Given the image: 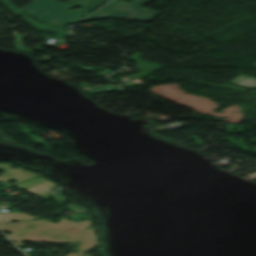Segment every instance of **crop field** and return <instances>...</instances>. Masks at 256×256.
Returning a JSON list of instances; mask_svg holds the SVG:
<instances>
[{
  "label": "crop field",
  "instance_id": "3",
  "mask_svg": "<svg viewBox=\"0 0 256 256\" xmlns=\"http://www.w3.org/2000/svg\"><path fill=\"white\" fill-rule=\"evenodd\" d=\"M151 0H133L129 3L114 0L97 10L85 19L90 18H115L126 20L151 21L160 12L141 7Z\"/></svg>",
  "mask_w": 256,
  "mask_h": 256
},
{
  "label": "crop field",
  "instance_id": "4",
  "mask_svg": "<svg viewBox=\"0 0 256 256\" xmlns=\"http://www.w3.org/2000/svg\"><path fill=\"white\" fill-rule=\"evenodd\" d=\"M0 169L4 170V174L0 176V181L1 180H4V181L1 182L0 184H5L6 186L14 185L22 190H25V189H28L32 186H35L39 183L46 181V179L38 177V178H35L32 180L17 184L19 182L30 179L37 175H35L31 172H28L26 170H23L21 168L11 169V168H9V164H0ZM11 180H17V182H15L11 185L6 183V181H11ZM15 184H17V185H15Z\"/></svg>",
  "mask_w": 256,
  "mask_h": 256
},
{
  "label": "crop field",
  "instance_id": "9",
  "mask_svg": "<svg viewBox=\"0 0 256 256\" xmlns=\"http://www.w3.org/2000/svg\"><path fill=\"white\" fill-rule=\"evenodd\" d=\"M55 184L47 181V182H44L40 185H37L35 187H32L30 189H28L29 191H32V192H35V193H38V194H41V193H44L46 191H48L50 189V187L54 186Z\"/></svg>",
  "mask_w": 256,
  "mask_h": 256
},
{
  "label": "crop field",
  "instance_id": "1",
  "mask_svg": "<svg viewBox=\"0 0 256 256\" xmlns=\"http://www.w3.org/2000/svg\"><path fill=\"white\" fill-rule=\"evenodd\" d=\"M59 224L51 223L45 219L28 220L21 222L0 223V230L12 231L7 235L15 240L17 245H22L20 240L44 241L48 243H73L79 242V250L96 246L95 227L90 220L71 222L63 218ZM90 226L89 229L84 227ZM68 237V239H64Z\"/></svg>",
  "mask_w": 256,
  "mask_h": 256
},
{
  "label": "crop field",
  "instance_id": "6",
  "mask_svg": "<svg viewBox=\"0 0 256 256\" xmlns=\"http://www.w3.org/2000/svg\"><path fill=\"white\" fill-rule=\"evenodd\" d=\"M141 55H142L141 53H133L130 58L131 61H135V65L137 69L154 72L165 66V65H159V64L140 61L139 58L141 57Z\"/></svg>",
  "mask_w": 256,
  "mask_h": 256
},
{
  "label": "crop field",
  "instance_id": "2",
  "mask_svg": "<svg viewBox=\"0 0 256 256\" xmlns=\"http://www.w3.org/2000/svg\"><path fill=\"white\" fill-rule=\"evenodd\" d=\"M107 1L109 0H68L64 4L58 0H35L20 10L40 22L63 27L75 23ZM76 6L81 8L77 11L69 10Z\"/></svg>",
  "mask_w": 256,
  "mask_h": 256
},
{
  "label": "crop field",
  "instance_id": "10",
  "mask_svg": "<svg viewBox=\"0 0 256 256\" xmlns=\"http://www.w3.org/2000/svg\"><path fill=\"white\" fill-rule=\"evenodd\" d=\"M20 37H21V36L17 35L16 32H14V40H15V43H14V45H13V48L25 50L26 52L32 51V50H30V49L22 48V45L19 44Z\"/></svg>",
  "mask_w": 256,
  "mask_h": 256
},
{
  "label": "crop field",
  "instance_id": "8",
  "mask_svg": "<svg viewBox=\"0 0 256 256\" xmlns=\"http://www.w3.org/2000/svg\"><path fill=\"white\" fill-rule=\"evenodd\" d=\"M29 218H33V217L27 216L25 214H18V213H2V214H0V222L10 221V220H19V219H29Z\"/></svg>",
  "mask_w": 256,
  "mask_h": 256
},
{
  "label": "crop field",
  "instance_id": "5",
  "mask_svg": "<svg viewBox=\"0 0 256 256\" xmlns=\"http://www.w3.org/2000/svg\"><path fill=\"white\" fill-rule=\"evenodd\" d=\"M11 12H13L14 14H22V17H24V21H26L28 24L38 28V29H47V30H53V31H57L55 36L58 37H64L65 34L63 33V29L61 28H56V27H49V26H45L42 25L40 23L34 22L31 19H29L28 17H26L22 12H20L9 0H0Z\"/></svg>",
  "mask_w": 256,
  "mask_h": 256
},
{
  "label": "crop field",
  "instance_id": "11",
  "mask_svg": "<svg viewBox=\"0 0 256 256\" xmlns=\"http://www.w3.org/2000/svg\"><path fill=\"white\" fill-rule=\"evenodd\" d=\"M92 249H94V248H92ZM92 249H88V250H92ZM84 251H87V250H84ZM84 251L75 252V253H72V254H69V255H66V256H74L75 254H78L77 256H82Z\"/></svg>",
  "mask_w": 256,
  "mask_h": 256
},
{
  "label": "crop field",
  "instance_id": "7",
  "mask_svg": "<svg viewBox=\"0 0 256 256\" xmlns=\"http://www.w3.org/2000/svg\"><path fill=\"white\" fill-rule=\"evenodd\" d=\"M256 67V64L252 65ZM232 83L239 85V86H244V87H251V86H256V79L246 77V76H240L234 80L231 81Z\"/></svg>",
  "mask_w": 256,
  "mask_h": 256
}]
</instances>
